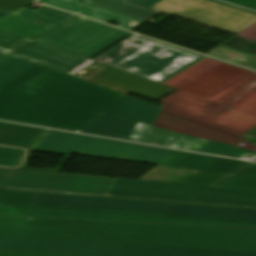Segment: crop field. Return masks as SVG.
Segmentation results:
<instances>
[{
    "label": "crop field",
    "instance_id": "crop-field-1",
    "mask_svg": "<svg viewBox=\"0 0 256 256\" xmlns=\"http://www.w3.org/2000/svg\"><path fill=\"white\" fill-rule=\"evenodd\" d=\"M8 54L0 50V60ZM160 110L14 55L0 64L1 120L240 159L256 157L253 152L152 127Z\"/></svg>",
    "mask_w": 256,
    "mask_h": 256
},
{
    "label": "crop field",
    "instance_id": "crop-field-2",
    "mask_svg": "<svg viewBox=\"0 0 256 256\" xmlns=\"http://www.w3.org/2000/svg\"><path fill=\"white\" fill-rule=\"evenodd\" d=\"M0 237L256 251V230L128 222L0 217Z\"/></svg>",
    "mask_w": 256,
    "mask_h": 256
},
{
    "label": "crop field",
    "instance_id": "crop-field-3",
    "mask_svg": "<svg viewBox=\"0 0 256 256\" xmlns=\"http://www.w3.org/2000/svg\"><path fill=\"white\" fill-rule=\"evenodd\" d=\"M0 215L256 229V210L0 191Z\"/></svg>",
    "mask_w": 256,
    "mask_h": 256
},
{
    "label": "crop field",
    "instance_id": "crop-field-4",
    "mask_svg": "<svg viewBox=\"0 0 256 256\" xmlns=\"http://www.w3.org/2000/svg\"><path fill=\"white\" fill-rule=\"evenodd\" d=\"M0 188L253 208L256 192L0 168Z\"/></svg>",
    "mask_w": 256,
    "mask_h": 256
},
{
    "label": "crop field",
    "instance_id": "crop-field-5",
    "mask_svg": "<svg viewBox=\"0 0 256 256\" xmlns=\"http://www.w3.org/2000/svg\"><path fill=\"white\" fill-rule=\"evenodd\" d=\"M10 52L125 94L140 93L157 100L175 90L32 40Z\"/></svg>",
    "mask_w": 256,
    "mask_h": 256
},
{
    "label": "crop field",
    "instance_id": "crop-field-6",
    "mask_svg": "<svg viewBox=\"0 0 256 256\" xmlns=\"http://www.w3.org/2000/svg\"><path fill=\"white\" fill-rule=\"evenodd\" d=\"M204 58L134 35L92 61L162 84Z\"/></svg>",
    "mask_w": 256,
    "mask_h": 256
},
{
    "label": "crop field",
    "instance_id": "crop-field-7",
    "mask_svg": "<svg viewBox=\"0 0 256 256\" xmlns=\"http://www.w3.org/2000/svg\"><path fill=\"white\" fill-rule=\"evenodd\" d=\"M18 147L164 165L181 151L34 128Z\"/></svg>",
    "mask_w": 256,
    "mask_h": 256
},
{
    "label": "crop field",
    "instance_id": "crop-field-8",
    "mask_svg": "<svg viewBox=\"0 0 256 256\" xmlns=\"http://www.w3.org/2000/svg\"><path fill=\"white\" fill-rule=\"evenodd\" d=\"M0 251L80 256H256V252L0 238Z\"/></svg>",
    "mask_w": 256,
    "mask_h": 256
},
{
    "label": "crop field",
    "instance_id": "crop-field-9",
    "mask_svg": "<svg viewBox=\"0 0 256 256\" xmlns=\"http://www.w3.org/2000/svg\"><path fill=\"white\" fill-rule=\"evenodd\" d=\"M130 33L79 17L32 40L89 59Z\"/></svg>",
    "mask_w": 256,
    "mask_h": 256
},
{
    "label": "crop field",
    "instance_id": "crop-field-10",
    "mask_svg": "<svg viewBox=\"0 0 256 256\" xmlns=\"http://www.w3.org/2000/svg\"><path fill=\"white\" fill-rule=\"evenodd\" d=\"M231 34L256 23V15L208 0H164L152 8Z\"/></svg>",
    "mask_w": 256,
    "mask_h": 256
},
{
    "label": "crop field",
    "instance_id": "crop-field-11",
    "mask_svg": "<svg viewBox=\"0 0 256 256\" xmlns=\"http://www.w3.org/2000/svg\"><path fill=\"white\" fill-rule=\"evenodd\" d=\"M230 174L156 166L138 180L214 187Z\"/></svg>",
    "mask_w": 256,
    "mask_h": 256
},
{
    "label": "crop field",
    "instance_id": "crop-field-12",
    "mask_svg": "<svg viewBox=\"0 0 256 256\" xmlns=\"http://www.w3.org/2000/svg\"><path fill=\"white\" fill-rule=\"evenodd\" d=\"M249 164V162L184 152L166 165L234 174Z\"/></svg>",
    "mask_w": 256,
    "mask_h": 256
},
{
    "label": "crop field",
    "instance_id": "crop-field-13",
    "mask_svg": "<svg viewBox=\"0 0 256 256\" xmlns=\"http://www.w3.org/2000/svg\"><path fill=\"white\" fill-rule=\"evenodd\" d=\"M13 15L44 25L49 28L59 25L77 16L46 6H43L35 11L24 8L14 13Z\"/></svg>",
    "mask_w": 256,
    "mask_h": 256
},
{
    "label": "crop field",
    "instance_id": "crop-field-14",
    "mask_svg": "<svg viewBox=\"0 0 256 256\" xmlns=\"http://www.w3.org/2000/svg\"><path fill=\"white\" fill-rule=\"evenodd\" d=\"M128 1L129 0H85L86 3L93 4L144 21L148 20L150 17L158 12L147 7L130 3Z\"/></svg>",
    "mask_w": 256,
    "mask_h": 256
},
{
    "label": "crop field",
    "instance_id": "crop-field-15",
    "mask_svg": "<svg viewBox=\"0 0 256 256\" xmlns=\"http://www.w3.org/2000/svg\"><path fill=\"white\" fill-rule=\"evenodd\" d=\"M82 16L95 19L101 22L107 23L110 19L117 20L122 22L118 27L127 29V30H134L136 27L141 25L144 21L137 20L125 15H121L109 10H105L93 5L84 4Z\"/></svg>",
    "mask_w": 256,
    "mask_h": 256
},
{
    "label": "crop field",
    "instance_id": "crop-field-16",
    "mask_svg": "<svg viewBox=\"0 0 256 256\" xmlns=\"http://www.w3.org/2000/svg\"><path fill=\"white\" fill-rule=\"evenodd\" d=\"M0 29L30 39L49 28L9 14L0 20Z\"/></svg>",
    "mask_w": 256,
    "mask_h": 256
},
{
    "label": "crop field",
    "instance_id": "crop-field-17",
    "mask_svg": "<svg viewBox=\"0 0 256 256\" xmlns=\"http://www.w3.org/2000/svg\"><path fill=\"white\" fill-rule=\"evenodd\" d=\"M207 55L256 70V57L225 47H218Z\"/></svg>",
    "mask_w": 256,
    "mask_h": 256
},
{
    "label": "crop field",
    "instance_id": "crop-field-18",
    "mask_svg": "<svg viewBox=\"0 0 256 256\" xmlns=\"http://www.w3.org/2000/svg\"><path fill=\"white\" fill-rule=\"evenodd\" d=\"M219 187L256 191V163L252 164Z\"/></svg>",
    "mask_w": 256,
    "mask_h": 256
},
{
    "label": "crop field",
    "instance_id": "crop-field-19",
    "mask_svg": "<svg viewBox=\"0 0 256 256\" xmlns=\"http://www.w3.org/2000/svg\"><path fill=\"white\" fill-rule=\"evenodd\" d=\"M32 129L0 122V145L17 147Z\"/></svg>",
    "mask_w": 256,
    "mask_h": 256
},
{
    "label": "crop field",
    "instance_id": "crop-field-20",
    "mask_svg": "<svg viewBox=\"0 0 256 256\" xmlns=\"http://www.w3.org/2000/svg\"><path fill=\"white\" fill-rule=\"evenodd\" d=\"M25 153L26 151L23 149L0 146V166H7V167L20 166V163Z\"/></svg>",
    "mask_w": 256,
    "mask_h": 256
},
{
    "label": "crop field",
    "instance_id": "crop-field-21",
    "mask_svg": "<svg viewBox=\"0 0 256 256\" xmlns=\"http://www.w3.org/2000/svg\"><path fill=\"white\" fill-rule=\"evenodd\" d=\"M220 45L256 56V42L251 40L235 36Z\"/></svg>",
    "mask_w": 256,
    "mask_h": 256
},
{
    "label": "crop field",
    "instance_id": "crop-field-22",
    "mask_svg": "<svg viewBox=\"0 0 256 256\" xmlns=\"http://www.w3.org/2000/svg\"><path fill=\"white\" fill-rule=\"evenodd\" d=\"M39 2L46 3L64 10L74 13H80L82 2L76 0H38Z\"/></svg>",
    "mask_w": 256,
    "mask_h": 256
},
{
    "label": "crop field",
    "instance_id": "crop-field-23",
    "mask_svg": "<svg viewBox=\"0 0 256 256\" xmlns=\"http://www.w3.org/2000/svg\"><path fill=\"white\" fill-rule=\"evenodd\" d=\"M28 39L0 30V49L9 50Z\"/></svg>",
    "mask_w": 256,
    "mask_h": 256
},
{
    "label": "crop field",
    "instance_id": "crop-field-24",
    "mask_svg": "<svg viewBox=\"0 0 256 256\" xmlns=\"http://www.w3.org/2000/svg\"><path fill=\"white\" fill-rule=\"evenodd\" d=\"M34 0H0V8L8 11H15Z\"/></svg>",
    "mask_w": 256,
    "mask_h": 256
},
{
    "label": "crop field",
    "instance_id": "crop-field-25",
    "mask_svg": "<svg viewBox=\"0 0 256 256\" xmlns=\"http://www.w3.org/2000/svg\"><path fill=\"white\" fill-rule=\"evenodd\" d=\"M223 1L256 10V0H223Z\"/></svg>",
    "mask_w": 256,
    "mask_h": 256
},
{
    "label": "crop field",
    "instance_id": "crop-field-26",
    "mask_svg": "<svg viewBox=\"0 0 256 256\" xmlns=\"http://www.w3.org/2000/svg\"><path fill=\"white\" fill-rule=\"evenodd\" d=\"M237 36H241V37L256 41V24H254L251 27H249L248 29L244 30Z\"/></svg>",
    "mask_w": 256,
    "mask_h": 256
},
{
    "label": "crop field",
    "instance_id": "crop-field-27",
    "mask_svg": "<svg viewBox=\"0 0 256 256\" xmlns=\"http://www.w3.org/2000/svg\"><path fill=\"white\" fill-rule=\"evenodd\" d=\"M162 0H130V2H134L140 5H144L147 7H154L155 5H157L159 2H161Z\"/></svg>",
    "mask_w": 256,
    "mask_h": 256
},
{
    "label": "crop field",
    "instance_id": "crop-field-28",
    "mask_svg": "<svg viewBox=\"0 0 256 256\" xmlns=\"http://www.w3.org/2000/svg\"><path fill=\"white\" fill-rule=\"evenodd\" d=\"M0 256H61V255H43V254H25V253L0 252Z\"/></svg>",
    "mask_w": 256,
    "mask_h": 256
},
{
    "label": "crop field",
    "instance_id": "crop-field-29",
    "mask_svg": "<svg viewBox=\"0 0 256 256\" xmlns=\"http://www.w3.org/2000/svg\"><path fill=\"white\" fill-rule=\"evenodd\" d=\"M245 137H248V138L256 140V129L253 130L252 132H250L249 134H247Z\"/></svg>",
    "mask_w": 256,
    "mask_h": 256
},
{
    "label": "crop field",
    "instance_id": "crop-field-30",
    "mask_svg": "<svg viewBox=\"0 0 256 256\" xmlns=\"http://www.w3.org/2000/svg\"><path fill=\"white\" fill-rule=\"evenodd\" d=\"M11 12H8V11H4V10H1L0 9V19H2L4 16H6L7 14H9Z\"/></svg>",
    "mask_w": 256,
    "mask_h": 256
},
{
    "label": "crop field",
    "instance_id": "crop-field-31",
    "mask_svg": "<svg viewBox=\"0 0 256 256\" xmlns=\"http://www.w3.org/2000/svg\"><path fill=\"white\" fill-rule=\"evenodd\" d=\"M80 1H82V0H80Z\"/></svg>",
    "mask_w": 256,
    "mask_h": 256
}]
</instances>
